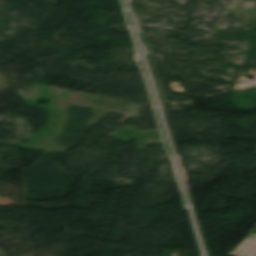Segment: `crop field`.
<instances>
[{"mask_svg": "<svg viewBox=\"0 0 256 256\" xmlns=\"http://www.w3.org/2000/svg\"><path fill=\"white\" fill-rule=\"evenodd\" d=\"M232 255L256 256V233H253Z\"/></svg>", "mask_w": 256, "mask_h": 256, "instance_id": "crop-field-1", "label": "crop field"}, {"mask_svg": "<svg viewBox=\"0 0 256 256\" xmlns=\"http://www.w3.org/2000/svg\"><path fill=\"white\" fill-rule=\"evenodd\" d=\"M0 256H5V253L0 249Z\"/></svg>", "mask_w": 256, "mask_h": 256, "instance_id": "crop-field-2", "label": "crop field"}]
</instances>
